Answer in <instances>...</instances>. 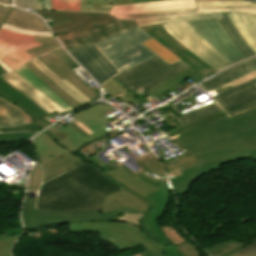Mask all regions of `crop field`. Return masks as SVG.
<instances>
[{
    "instance_id": "crop-field-8",
    "label": "crop field",
    "mask_w": 256,
    "mask_h": 256,
    "mask_svg": "<svg viewBox=\"0 0 256 256\" xmlns=\"http://www.w3.org/2000/svg\"><path fill=\"white\" fill-rule=\"evenodd\" d=\"M35 35L52 36L50 32L24 30L4 23L0 29V66L9 72L35 58L25 51L31 47L41 45L33 41Z\"/></svg>"
},
{
    "instance_id": "crop-field-6",
    "label": "crop field",
    "mask_w": 256,
    "mask_h": 256,
    "mask_svg": "<svg viewBox=\"0 0 256 256\" xmlns=\"http://www.w3.org/2000/svg\"><path fill=\"white\" fill-rule=\"evenodd\" d=\"M256 71V58L238 64L200 85L206 92ZM229 117L256 107V78L214 97Z\"/></svg>"
},
{
    "instance_id": "crop-field-36",
    "label": "crop field",
    "mask_w": 256,
    "mask_h": 256,
    "mask_svg": "<svg viewBox=\"0 0 256 256\" xmlns=\"http://www.w3.org/2000/svg\"><path fill=\"white\" fill-rule=\"evenodd\" d=\"M41 176H42V171L39 164H37L35 168L32 170L31 177L29 180L28 190L38 191L40 181H41Z\"/></svg>"
},
{
    "instance_id": "crop-field-2",
    "label": "crop field",
    "mask_w": 256,
    "mask_h": 256,
    "mask_svg": "<svg viewBox=\"0 0 256 256\" xmlns=\"http://www.w3.org/2000/svg\"><path fill=\"white\" fill-rule=\"evenodd\" d=\"M179 133L181 135L172 142L193 155L197 162L167 174L180 197L201 175L248 157L256 159V108L231 119L221 110L167 135L171 137Z\"/></svg>"
},
{
    "instance_id": "crop-field-13",
    "label": "crop field",
    "mask_w": 256,
    "mask_h": 256,
    "mask_svg": "<svg viewBox=\"0 0 256 256\" xmlns=\"http://www.w3.org/2000/svg\"><path fill=\"white\" fill-rule=\"evenodd\" d=\"M79 63L99 83L118 73L110 63L97 51L92 43L68 49Z\"/></svg>"
},
{
    "instance_id": "crop-field-48",
    "label": "crop field",
    "mask_w": 256,
    "mask_h": 256,
    "mask_svg": "<svg viewBox=\"0 0 256 256\" xmlns=\"http://www.w3.org/2000/svg\"><path fill=\"white\" fill-rule=\"evenodd\" d=\"M43 9L51 10L50 0H43Z\"/></svg>"
},
{
    "instance_id": "crop-field-9",
    "label": "crop field",
    "mask_w": 256,
    "mask_h": 256,
    "mask_svg": "<svg viewBox=\"0 0 256 256\" xmlns=\"http://www.w3.org/2000/svg\"><path fill=\"white\" fill-rule=\"evenodd\" d=\"M188 68L180 60L169 65L157 55L116 75L128 91L141 87L147 90L178 72Z\"/></svg>"
},
{
    "instance_id": "crop-field-25",
    "label": "crop field",
    "mask_w": 256,
    "mask_h": 256,
    "mask_svg": "<svg viewBox=\"0 0 256 256\" xmlns=\"http://www.w3.org/2000/svg\"><path fill=\"white\" fill-rule=\"evenodd\" d=\"M197 8H256L249 1H196Z\"/></svg>"
},
{
    "instance_id": "crop-field-53",
    "label": "crop field",
    "mask_w": 256,
    "mask_h": 256,
    "mask_svg": "<svg viewBox=\"0 0 256 256\" xmlns=\"http://www.w3.org/2000/svg\"><path fill=\"white\" fill-rule=\"evenodd\" d=\"M70 126L69 124L66 125L65 127H63L62 129H60L61 131L64 130L66 127Z\"/></svg>"
},
{
    "instance_id": "crop-field-50",
    "label": "crop field",
    "mask_w": 256,
    "mask_h": 256,
    "mask_svg": "<svg viewBox=\"0 0 256 256\" xmlns=\"http://www.w3.org/2000/svg\"><path fill=\"white\" fill-rule=\"evenodd\" d=\"M81 129H83L88 135L93 133L90 130L86 129V127H84L82 124H80L79 122L76 123Z\"/></svg>"
},
{
    "instance_id": "crop-field-28",
    "label": "crop field",
    "mask_w": 256,
    "mask_h": 256,
    "mask_svg": "<svg viewBox=\"0 0 256 256\" xmlns=\"http://www.w3.org/2000/svg\"><path fill=\"white\" fill-rule=\"evenodd\" d=\"M160 247L166 256H200V253L190 242L177 247L174 245H165Z\"/></svg>"
},
{
    "instance_id": "crop-field-30",
    "label": "crop field",
    "mask_w": 256,
    "mask_h": 256,
    "mask_svg": "<svg viewBox=\"0 0 256 256\" xmlns=\"http://www.w3.org/2000/svg\"><path fill=\"white\" fill-rule=\"evenodd\" d=\"M110 8V0H81V11L109 13Z\"/></svg>"
},
{
    "instance_id": "crop-field-49",
    "label": "crop field",
    "mask_w": 256,
    "mask_h": 256,
    "mask_svg": "<svg viewBox=\"0 0 256 256\" xmlns=\"http://www.w3.org/2000/svg\"><path fill=\"white\" fill-rule=\"evenodd\" d=\"M153 1H161V0H133V4L145 3V2H153Z\"/></svg>"
},
{
    "instance_id": "crop-field-43",
    "label": "crop field",
    "mask_w": 256,
    "mask_h": 256,
    "mask_svg": "<svg viewBox=\"0 0 256 256\" xmlns=\"http://www.w3.org/2000/svg\"><path fill=\"white\" fill-rule=\"evenodd\" d=\"M239 253L247 255V256H256V242H254L250 246L246 247Z\"/></svg>"
},
{
    "instance_id": "crop-field-32",
    "label": "crop field",
    "mask_w": 256,
    "mask_h": 256,
    "mask_svg": "<svg viewBox=\"0 0 256 256\" xmlns=\"http://www.w3.org/2000/svg\"><path fill=\"white\" fill-rule=\"evenodd\" d=\"M73 158H75V157L65 153V154L57 157L52 162L42 166L43 167V171H44V176H46V175L56 171L58 168H60L61 166L65 165L66 163L71 161Z\"/></svg>"
},
{
    "instance_id": "crop-field-21",
    "label": "crop field",
    "mask_w": 256,
    "mask_h": 256,
    "mask_svg": "<svg viewBox=\"0 0 256 256\" xmlns=\"http://www.w3.org/2000/svg\"><path fill=\"white\" fill-rule=\"evenodd\" d=\"M188 78L193 80L196 83L201 82L202 80L201 77H199L197 74H195L192 70L188 68L147 91L153 94L154 96L158 97L170 89L174 91L171 87L183 82ZM174 92L176 94L178 93L176 91Z\"/></svg>"
},
{
    "instance_id": "crop-field-15",
    "label": "crop field",
    "mask_w": 256,
    "mask_h": 256,
    "mask_svg": "<svg viewBox=\"0 0 256 256\" xmlns=\"http://www.w3.org/2000/svg\"><path fill=\"white\" fill-rule=\"evenodd\" d=\"M6 73V71L0 67V74ZM0 96L8 99L13 104L17 105L20 109L27 113L35 123L42 128L50 125L41 118L48 115L38 106L12 88L8 83L0 78Z\"/></svg>"
},
{
    "instance_id": "crop-field-12",
    "label": "crop field",
    "mask_w": 256,
    "mask_h": 256,
    "mask_svg": "<svg viewBox=\"0 0 256 256\" xmlns=\"http://www.w3.org/2000/svg\"><path fill=\"white\" fill-rule=\"evenodd\" d=\"M37 13L34 10H28ZM42 18L52 17L53 25L50 26L55 35L82 29L99 22L114 18L107 14L77 13L63 11H40L37 13Z\"/></svg>"
},
{
    "instance_id": "crop-field-7",
    "label": "crop field",
    "mask_w": 256,
    "mask_h": 256,
    "mask_svg": "<svg viewBox=\"0 0 256 256\" xmlns=\"http://www.w3.org/2000/svg\"><path fill=\"white\" fill-rule=\"evenodd\" d=\"M152 38L135 27L94 43L98 51L120 72L155 55L141 43Z\"/></svg>"
},
{
    "instance_id": "crop-field-19",
    "label": "crop field",
    "mask_w": 256,
    "mask_h": 256,
    "mask_svg": "<svg viewBox=\"0 0 256 256\" xmlns=\"http://www.w3.org/2000/svg\"><path fill=\"white\" fill-rule=\"evenodd\" d=\"M28 122L32 120L26 113L0 97V128L14 127Z\"/></svg>"
},
{
    "instance_id": "crop-field-20",
    "label": "crop field",
    "mask_w": 256,
    "mask_h": 256,
    "mask_svg": "<svg viewBox=\"0 0 256 256\" xmlns=\"http://www.w3.org/2000/svg\"><path fill=\"white\" fill-rule=\"evenodd\" d=\"M33 86H35L38 90H40L43 94H45L48 98H50L53 102H55L58 106H60L66 112L72 110L66 103H64L50 88H48L29 68L25 65L18 70L14 71Z\"/></svg>"
},
{
    "instance_id": "crop-field-47",
    "label": "crop field",
    "mask_w": 256,
    "mask_h": 256,
    "mask_svg": "<svg viewBox=\"0 0 256 256\" xmlns=\"http://www.w3.org/2000/svg\"><path fill=\"white\" fill-rule=\"evenodd\" d=\"M72 129H74L75 131L79 132L80 134H82L83 136H88L83 130H81L76 124L70 126Z\"/></svg>"
},
{
    "instance_id": "crop-field-35",
    "label": "crop field",
    "mask_w": 256,
    "mask_h": 256,
    "mask_svg": "<svg viewBox=\"0 0 256 256\" xmlns=\"http://www.w3.org/2000/svg\"><path fill=\"white\" fill-rule=\"evenodd\" d=\"M54 10L80 11V0H53Z\"/></svg>"
},
{
    "instance_id": "crop-field-41",
    "label": "crop field",
    "mask_w": 256,
    "mask_h": 256,
    "mask_svg": "<svg viewBox=\"0 0 256 256\" xmlns=\"http://www.w3.org/2000/svg\"><path fill=\"white\" fill-rule=\"evenodd\" d=\"M255 77H256V72H254V73H252V74H249V75H247V76H245V77H243V78H240V79H238V80H236V81H234V82H231V83L225 85L227 88H225V89H223V90L221 89V87L217 88V90H219L220 92H222V91H224V90H226V89H229V88H231V87H234V86H236V85H239V84H241V83H244V82H246V81H249V80H251V79H253V78H255Z\"/></svg>"
},
{
    "instance_id": "crop-field-22",
    "label": "crop field",
    "mask_w": 256,
    "mask_h": 256,
    "mask_svg": "<svg viewBox=\"0 0 256 256\" xmlns=\"http://www.w3.org/2000/svg\"><path fill=\"white\" fill-rule=\"evenodd\" d=\"M221 14L223 18H218V20L239 50L244 54L245 57L254 55V52L251 50L233 22L230 20L226 12H221Z\"/></svg>"
},
{
    "instance_id": "crop-field-17",
    "label": "crop field",
    "mask_w": 256,
    "mask_h": 256,
    "mask_svg": "<svg viewBox=\"0 0 256 256\" xmlns=\"http://www.w3.org/2000/svg\"><path fill=\"white\" fill-rule=\"evenodd\" d=\"M195 8L194 0H169L137 5L112 7L111 15L139 14L164 10Z\"/></svg>"
},
{
    "instance_id": "crop-field-23",
    "label": "crop field",
    "mask_w": 256,
    "mask_h": 256,
    "mask_svg": "<svg viewBox=\"0 0 256 256\" xmlns=\"http://www.w3.org/2000/svg\"><path fill=\"white\" fill-rule=\"evenodd\" d=\"M35 63L48 77H50L58 86H60L66 93L74 98L81 105L90 102L84 95H82L77 89H75L66 80L61 81L56 75H54L44 64H42L37 58L31 60ZM34 64V65H35Z\"/></svg>"
},
{
    "instance_id": "crop-field-42",
    "label": "crop field",
    "mask_w": 256,
    "mask_h": 256,
    "mask_svg": "<svg viewBox=\"0 0 256 256\" xmlns=\"http://www.w3.org/2000/svg\"><path fill=\"white\" fill-rule=\"evenodd\" d=\"M51 136H53L56 140H60L68 135L62 133L58 128H56L54 125L49 127L46 130Z\"/></svg>"
},
{
    "instance_id": "crop-field-14",
    "label": "crop field",
    "mask_w": 256,
    "mask_h": 256,
    "mask_svg": "<svg viewBox=\"0 0 256 256\" xmlns=\"http://www.w3.org/2000/svg\"><path fill=\"white\" fill-rule=\"evenodd\" d=\"M38 59L44 63L54 74L61 80L66 79L82 94H84L91 101L98 97V94L88 87L81 79H79L55 52V50L44 54Z\"/></svg>"
},
{
    "instance_id": "crop-field-18",
    "label": "crop field",
    "mask_w": 256,
    "mask_h": 256,
    "mask_svg": "<svg viewBox=\"0 0 256 256\" xmlns=\"http://www.w3.org/2000/svg\"><path fill=\"white\" fill-rule=\"evenodd\" d=\"M256 54V14L227 12Z\"/></svg>"
},
{
    "instance_id": "crop-field-26",
    "label": "crop field",
    "mask_w": 256,
    "mask_h": 256,
    "mask_svg": "<svg viewBox=\"0 0 256 256\" xmlns=\"http://www.w3.org/2000/svg\"><path fill=\"white\" fill-rule=\"evenodd\" d=\"M219 110H221L220 106L217 103L213 102L191 112L183 114L184 117L177 119V121L184 125Z\"/></svg>"
},
{
    "instance_id": "crop-field-33",
    "label": "crop field",
    "mask_w": 256,
    "mask_h": 256,
    "mask_svg": "<svg viewBox=\"0 0 256 256\" xmlns=\"http://www.w3.org/2000/svg\"><path fill=\"white\" fill-rule=\"evenodd\" d=\"M191 12H196V9L164 11V12L149 13V14L124 15V16H115V17H118V18H121V19H139V18H146V17H156V16H165V15H173V14H181V13H191Z\"/></svg>"
},
{
    "instance_id": "crop-field-40",
    "label": "crop field",
    "mask_w": 256,
    "mask_h": 256,
    "mask_svg": "<svg viewBox=\"0 0 256 256\" xmlns=\"http://www.w3.org/2000/svg\"><path fill=\"white\" fill-rule=\"evenodd\" d=\"M42 128H40L38 125H36L34 122L20 125L14 128H4L0 129V132H11V131H40Z\"/></svg>"
},
{
    "instance_id": "crop-field-10",
    "label": "crop field",
    "mask_w": 256,
    "mask_h": 256,
    "mask_svg": "<svg viewBox=\"0 0 256 256\" xmlns=\"http://www.w3.org/2000/svg\"><path fill=\"white\" fill-rule=\"evenodd\" d=\"M141 28L203 77L207 78L215 74L216 70L172 37L161 24L142 26Z\"/></svg>"
},
{
    "instance_id": "crop-field-4",
    "label": "crop field",
    "mask_w": 256,
    "mask_h": 256,
    "mask_svg": "<svg viewBox=\"0 0 256 256\" xmlns=\"http://www.w3.org/2000/svg\"><path fill=\"white\" fill-rule=\"evenodd\" d=\"M119 189L85 162L42 184L35 208L64 213L98 210L101 200Z\"/></svg>"
},
{
    "instance_id": "crop-field-54",
    "label": "crop field",
    "mask_w": 256,
    "mask_h": 256,
    "mask_svg": "<svg viewBox=\"0 0 256 256\" xmlns=\"http://www.w3.org/2000/svg\"><path fill=\"white\" fill-rule=\"evenodd\" d=\"M51 6H52V10H53V2H52V0H51Z\"/></svg>"
},
{
    "instance_id": "crop-field-3",
    "label": "crop field",
    "mask_w": 256,
    "mask_h": 256,
    "mask_svg": "<svg viewBox=\"0 0 256 256\" xmlns=\"http://www.w3.org/2000/svg\"><path fill=\"white\" fill-rule=\"evenodd\" d=\"M217 17H221L219 12L196 13L134 21H124L114 18L82 30L58 35L57 37L66 48H70L90 42L94 43L135 26L162 23L172 36L218 71L232 63L209 45L187 22Z\"/></svg>"
},
{
    "instance_id": "crop-field-44",
    "label": "crop field",
    "mask_w": 256,
    "mask_h": 256,
    "mask_svg": "<svg viewBox=\"0 0 256 256\" xmlns=\"http://www.w3.org/2000/svg\"><path fill=\"white\" fill-rule=\"evenodd\" d=\"M56 51L58 52V54L63 58V60L67 63L68 66L72 65L71 62H73V60L70 58V56L66 53V51L63 49V47H60L58 49H56ZM55 51V52H56ZM60 57V58H61ZM65 63V64H66Z\"/></svg>"
},
{
    "instance_id": "crop-field-45",
    "label": "crop field",
    "mask_w": 256,
    "mask_h": 256,
    "mask_svg": "<svg viewBox=\"0 0 256 256\" xmlns=\"http://www.w3.org/2000/svg\"><path fill=\"white\" fill-rule=\"evenodd\" d=\"M198 12H205V11H247V12H255L256 9H197Z\"/></svg>"
},
{
    "instance_id": "crop-field-46",
    "label": "crop field",
    "mask_w": 256,
    "mask_h": 256,
    "mask_svg": "<svg viewBox=\"0 0 256 256\" xmlns=\"http://www.w3.org/2000/svg\"><path fill=\"white\" fill-rule=\"evenodd\" d=\"M112 6L132 4V0H111Z\"/></svg>"
},
{
    "instance_id": "crop-field-16",
    "label": "crop field",
    "mask_w": 256,
    "mask_h": 256,
    "mask_svg": "<svg viewBox=\"0 0 256 256\" xmlns=\"http://www.w3.org/2000/svg\"><path fill=\"white\" fill-rule=\"evenodd\" d=\"M1 77L48 114L53 110L58 114L65 112L16 73L12 72Z\"/></svg>"
},
{
    "instance_id": "crop-field-38",
    "label": "crop field",
    "mask_w": 256,
    "mask_h": 256,
    "mask_svg": "<svg viewBox=\"0 0 256 256\" xmlns=\"http://www.w3.org/2000/svg\"><path fill=\"white\" fill-rule=\"evenodd\" d=\"M15 6L27 9H42V0H14Z\"/></svg>"
},
{
    "instance_id": "crop-field-52",
    "label": "crop field",
    "mask_w": 256,
    "mask_h": 256,
    "mask_svg": "<svg viewBox=\"0 0 256 256\" xmlns=\"http://www.w3.org/2000/svg\"><path fill=\"white\" fill-rule=\"evenodd\" d=\"M233 256H244V255H241V254L237 253V254H235Z\"/></svg>"
},
{
    "instance_id": "crop-field-27",
    "label": "crop field",
    "mask_w": 256,
    "mask_h": 256,
    "mask_svg": "<svg viewBox=\"0 0 256 256\" xmlns=\"http://www.w3.org/2000/svg\"><path fill=\"white\" fill-rule=\"evenodd\" d=\"M243 243L229 239L220 244L205 249L211 256H229L236 252Z\"/></svg>"
},
{
    "instance_id": "crop-field-11",
    "label": "crop field",
    "mask_w": 256,
    "mask_h": 256,
    "mask_svg": "<svg viewBox=\"0 0 256 256\" xmlns=\"http://www.w3.org/2000/svg\"><path fill=\"white\" fill-rule=\"evenodd\" d=\"M189 23L209 44L232 63L244 58L217 19Z\"/></svg>"
},
{
    "instance_id": "crop-field-29",
    "label": "crop field",
    "mask_w": 256,
    "mask_h": 256,
    "mask_svg": "<svg viewBox=\"0 0 256 256\" xmlns=\"http://www.w3.org/2000/svg\"><path fill=\"white\" fill-rule=\"evenodd\" d=\"M34 40L43 44L41 46L34 47L32 49L27 50L29 53H31L35 57L40 56L50 50H53L61 46L59 42L54 39V37H36L35 36Z\"/></svg>"
},
{
    "instance_id": "crop-field-31",
    "label": "crop field",
    "mask_w": 256,
    "mask_h": 256,
    "mask_svg": "<svg viewBox=\"0 0 256 256\" xmlns=\"http://www.w3.org/2000/svg\"><path fill=\"white\" fill-rule=\"evenodd\" d=\"M142 44H144L146 47H148L150 50H152L154 53H156L158 56H160L162 59H164L169 64L178 60V58L176 56H174L167 49L162 47V45L159 44L153 38L142 43Z\"/></svg>"
},
{
    "instance_id": "crop-field-34",
    "label": "crop field",
    "mask_w": 256,
    "mask_h": 256,
    "mask_svg": "<svg viewBox=\"0 0 256 256\" xmlns=\"http://www.w3.org/2000/svg\"><path fill=\"white\" fill-rule=\"evenodd\" d=\"M164 236L172 242L175 246L187 242L183 239L172 227L169 226H158Z\"/></svg>"
},
{
    "instance_id": "crop-field-1",
    "label": "crop field",
    "mask_w": 256,
    "mask_h": 256,
    "mask_svg": "<svg viewBox=\"0 0 256 256\" xmlns=\"http://www.w3.org/2000/svg\"><path fill=\"white\" fill-rule=\"evenodd\" d=\"M99 153L86 161L99 167L104 177L123 189L106 196L101 210L73 214L33 209L36 197L29 198L30 192H27L22 210L25 228L38 229L67 222L69 233L97 232L100 239L119 252L143 244L145 252L136 256H165L159 245L171 243L158 229L157 220L170 201L169 189L164 179L155 180L143 173L152 171L164 175L160 161L154 154L139 159L129 153L141 168L133 173L123 166L138 177L135 179L120 167L122 163L110 156L112 160L104 163L97 157Z\"/></svg>"
},
{
    "instance_id": "crop-field-39",
    "label": "crop field",
    "mask_w": 256,
    "mask_h": 256,
    "mask_svg": "<svg viewBox=\"0 0 256 256\" xmlns=\"http://www.w3.org/2000/svg\"><path fill=\"white\" fill-rule=\"evenodd\" d=\"M18 236L0 238V256H9L8 250Z\"/></svg>"
},
{
    "instance_id": "crop-field-5",
    "label": "crop field",
    "mask_w": 256,
    "mask_h": 256,
    "mask_svg": "<svg viewBox=\"0 0 256 256\" xmlns=\"http://www.w3.org/2000/svg\"><path fill=\"white\" fill-rule=\"evenodd\" d=\"M114 111H116V109L107 104H96L72 115L75 119H77L83 125L88 127V129L94 132L86 138L69 127L66 128L63 132L69 134L70 136L59 142L51 137L46 131L35 137L34 146L36 148L41 166L55 159L57 156L63 154L64 152H67L76 157L64 167L44 177L42 183L64 173L69 168L82 162V159L73 153H75L84 144L111 131L103 123L110 121L105 116L111 114Z\"/></svg>"
},
{
    "instance_id": "crop-field-51",
    "label": "crop field",
    "mask_w": 256,
    "mask_h": 256,
    "mask_svg": "<svg viewBox=\"0 0 256 256\" xmlns=\"http://www.w3.org/2000/svg\"><path fill=\"white\" fill-rule=\"evenodd\" d=\"M1 4L11 5V0H0Z\"/></svg>"
},
{
    "instance_id": "crop-field-24",
    "label": "crop field",
    "mask_w": 256,
    "mask_h": 256,
    "mask_svg": "<svg viewBox=\"0 0 256 256\" xmlns=\"http://www.w3.org/2000/svg\"><path fill=\"white\" fill-rule=\"evenodd\" d=\"M29 67L48 87H50L63 101H65L72 109L80 106L74 99L59 88L51 79H49L36 65L31 61L25 64Z\"/></svg>"
},
{
    "instance_id": "crop-field-37",
    "label": "crop field",
    "mask_w": 256,
    "mask_h": 256,
    "mask_svg": "<svg viewBox=\"0 0 256 256\" xmlns=\"http://www.w3.org/2000/svg\"><path fill=\"white\" fill-rule=\"evenodd\" d=\"M36 133H11V134H0V143L21 141L30 138Z\"/></svg>"
}]
</instances>
